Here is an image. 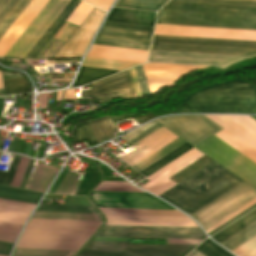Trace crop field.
<instances>
[{
    "label": "crop field",
    "mask_w": 256,
    "mask_h": 256,
    "mask_svg": "<svg viewBox=\"0 0 256 256\" xmlns=\"http://www.w3.org/2000/svg\"><path fill=\"white\" fill-rule=\"evenodd\" d=\"M28 213L16 212L0 209V220L24 224L28 218Z\"/></svg>",
    "instance_id": "obj_46"
},
{
    "label": "crop field",
    "mask_w": 256,
    "mask_h": 256,
    "mask_svg": "<svg viewBox=\"0 0 256 256\" xmlns=\"http://www.w3.org/2000/svg\"><path fill=\"white\" fill-rule=\"evenodd\" d=\"M34 207H35L34 204L0 199V208L31 213Z\"/></svg>",
    "instance_id": "obj_47"
},
{
    "label": "crop field",
    "mask_w": 256,
    "mask_h": 256,
    "mask_svg": "<svg viewBox=\"0 0 256 256\" xmlns=\"http://www.w3.org/2000/svg\"><path fill=\"white\" fill-rule=\"evenodd\" d=\"M255 235H256V222L248 226L241 232L237 233L236 235H234L233 237H231L230 239H228L227 241L223 242L220 245H222L223 247L231 251Z\"/></svg>",
    "instance_id": "obj_36"
},
{
    "label": "crop field",
    "mask_w": 256,
    "mask_h": 256,
    "mask_svg": "<svg viewBox=\"0 0 256 256\" xmlns=\"http://www.w3.org/2000/svg\"><path fill=\"white\" fill-rule=\"evenodd\" d=\"M124 91H128V92L110 95V96L96 97V96L105 95L109 93L124 92ZM80 96L89 97L90 99H97L99 103L117 99V98L129 99V98L137 97L131 77H130L129 70L122 72L120 74L102 79L100 81L94 82L93 89L86 92H82Z\"/></svg>",
    "instance_id": "obj_16"
},
{
    "label": "crop field",
    "mask_w": 256,
    "mask_h": 256,
    "mask_svg": "<svg viewBox=\"0 0 256 256\" xmlns=\"http://www.w3.org/2000/svg\"><path fill=\"white\" fill-rule=\"evenodd\" d=\"M97 206L175 210L150 195L91 193ZM103 214L185 216L178 211L98 207Z\"/></svg>",
    "instance_id": "obj_6"
},
{
    "label": "crop field",
    "mask_w": 256,
    "mask_h": 256,
    "mask_svg": "<svg viewBox=\"0 0 256 256\" xmlns=\"http://www.w3.org/2000/svg\"><path fill=\"white\" fill-rule=\"evenodd\" d=\"M184 143H186V142H184L178 138L175 141H173L172 143H170L167 146H165L164 148H162L161 150H159L158 152L154 153L153 155H151L150 157L145 159L144 161L140 162L133 168L140 172L143 169L150 166L151 164H153L154 162H156L159 159H161L162 157H164L165 155H167L168 153L172 152L179 146L183 145Z\"/></svg>",
    "instance_id": "obj_33"
},
{
    "label": "crop field",
    "mask_w": 256,
    "mask_h": 256,
    "mask_svg": "<svg viewBox=\"0 0 256 256\" xmlns=\"http://www.w3.org/2000/svg\"><path fill=\"white\" fill-rule=\"evenodd\" d=\"M5 95L27 92L28 85L25 77L3 81Z\"/></svg>",
    "instance_id": "obj_40"
},
{
    "label": "crop field",
    "mask_w": 256,
    "mask_h": 256,
    "mask_svg": "<svg viewBox=\"0 0 256 256\" xmlns=\"http://www.w3.org/2000/svg\"><path fill=\"white\" fill-rule=\"evenodd\" d=\"M0 88H3L1 73H0Z\"/></svg>",
    "instance_id": "obj_62"
},
{
    "label": "crop field",
    "mask_w": 256,
    "mask_h": 256,
    "mask_svg": "<svg viewBox=\"0 0 256 256\" xmlns=\"http://www.w3.org/2000/svg\"><path fill=\"white\" fill-rule=\"evenodd\" d=\"M113 73H117V71L81 67L72 87L82 86Z\"/></svg>",
    "instance_id": "obj_31"
},
{
    "label": "crop field",
    "mask_w": 256,
    "mask_h": 256,
    "mask_svg": "<svg viewBox=\"0 0 256 256\" xmlns=\"http://www.w3.org/2000/svg\"><path fill=\"white\" fill-rule=\"evenodd\" d=\"M22 156L15 155L8 172L0 171V185L9 186Z\"/></svg>",
    "instance_id": "obj_49"
},
{
    "label": "crop field",
    "mask_w": 256,
    "mask_h": 256,
    "mask_svg": "<svg viewBox=\"0 0 256 256\" xmlns=\"http://www.w3.org/2000/svg\"><path fill=\"white\" fill-rule=\"evenodd\" d=\"M148 52L92 45L87 56L144 63Z\"/></svg>",
    "instance_id": "obj_23"
},
{
    "label": "crop field",
    "mask_w": 256,
    "mask_h": 256,
    "mask_svg": "<svg viewBox=\"0 0 256 256\" xmlns=\"http://www.w3.org/2000/svg\"><path fill=\"white\" fill-rule=\"evenodd\" d=\"M32 218L102 221L99 215L35 212Z\"/></svg>",
    "instance_id": "obj_35"
},
{
    "label": "crop field",
    "mask_w": 256,
    "mask_h": 256,
    "mask_svg": "<svg viewBox=\"0 0 256 256\" xmlns=\"http://www.w3.org/2000/svg\"><path fill=\"white\" fill-rule=\"evenodd\" d=\"M41 196V193L29 192L0 186V198L37 204Z\"/></svg>",
    "instance_id": "obj_29"
},
{
    "label": "crop field",
    "mask_w": 256,
    "mask_h": 256,
    "mask_svg": "<svg viewBox=\"0 0 256 256\" xmlns=\"http://www.w3.org/2000/svg\"><path fill=\"white\" fill-rule=\"evenodd\" d=\"M190 148H192V146H190L189 144L186 143L140 173H142L145 176H148L151 173H153L154 171H156L159 168H161L162 166H164L165 164H167L168 162L172 161L173 159H175L176 157L181 155L182 153L189 150Z\"/></svg>",
    "instance_id": "obj_38"
},
{
    "label": "crop field",
    "mask_w": 256,
    "mask_h": 256,
    "mask_svg": "<svg viewBox=\"0 0 256 256\" xmlns=\"http://www.w3.org/2000/svg\"><path fill=\"white\" fill-rule=\"evenodd\" d=\"M154 123H156V122H155V121H152V122H150V123L144 125L143 127H141V128H139V129H137V130H135V131H132V132L128 133L127 135H125V136H123V137H121V138H123L124 140L127 141V140H129L130 138H132V137H134L135 135H137L138 133H140L141 131H143V130H145L146 128H148L149 126L153 125Z\"/></svg>",
    "instance_id": "obj_56"
},
{
    "label": "crop field",
    "mask_w": 256,
    "mask_h": 256,
    "mask_svg": "<svg viewBox=\"0 0 256 256\" xmlns=\"http://www.w3.org/2000/svg\"><path fill=\"white\" fill-rule=\"evenodd\" d=\"M252 118H254L256 120V116H251Z\"/></svg>",
    "instance_id": "obj_65"
},
{
    "label": "crop field",
    "mask_w": 256,
    "mask_h": 256,
    "mask_svg": "<svg viewBox=\"0 0 256 256\" xmlns=\"http://www.w3.org/2000/svg\"><path fill=\"white\" fill-rule=\"evenodd\" d=\"M168 0H118L114 7L158 11Z\"/></svg>",
    "instance_id": "obj_30"
},
{
    "label": "crop field",
    "mask_w": 256,
    "mask_h": 256,
    "mask_svg": "<svg viewBox=\"0 0 256 256\" xmlns=\"http://www.w3.org/2000/svg\"><path fill=\"white\" fill-rule=\"evenodd\" d=\"M196 148L256 188V165L233 150L234 148L214 136Z\"/></svg>",
    "instance_id": "obj_11"
},
{
    "label": "crop field",
    "mask_w": 256,
    "mask_h": 256,
    "mask_svg": "<svg viewBox=\"0 0 256 256\" xmlns=\"http://www.w3.org/2000/svg\"><path fill=\"white\" fill-rule=\"evenodd\" d=\"M255 221L256 209L251 211L244 217L240 218L230 226L226 227L219 233L215 234L214 236H212L211 239L215 240L220 244Z\"/></svg>",
    "instance_id": "obj_27"
},
{
    "label": "crop field",
    "mask_w": 256,
    "mask_h": 256,
    "mask_svg": "<svg viewBox=\"0 0 256 256\" xmlns=\"http://www.w3.org/2000/svg\"><path fill=\"white\" fill-rule=\"evenodd\" d=\"M232 148H234L236 151L256 163V152L237 140L235 137L227 133L226 131H221L218 134L214 135Z\"/></svg>",
    "instance_id": "obj_32"
},
{
    "label": "crop field",
    "mask_w": 256,
    "mask_h": 256,
    "mask_svg": "<svg viewBox=\"0 0 256 256\" xmlns=\"http://www.w3.org/2000/svg\"><path fill=\"white\" fill-rule=\"evenodd\" d=\"M14 244L0 242V255L8 256Z\"/></svg>",
    "instance_id": "obj_57"
},
{
    "label": "crop field",
    "mask_w": 256,
    "mask_h": 256,
    "mask_svg": "<svg viewBox=\"0 0 256 256\" xmlns=\"http://www.w3.org/2000/svg\"><path fill=\"white\" fill-rule=\"evenodd\" d=\"M202 156L204 155L196 149L190 150L189 152L185 153L178 159L165 166L164 168L160 169L153 175L146 178L150 182L140 188L154 195H160L161 193L176 185L174 182L168 179L169 177L176 174L197 159L201 158Z\"/></svg>",
    "instance_id": "obj_18"
},
{
    "label": "crop field",
    "mask_w": 256,
    "mask_h": 256,
    "mask_svg": "<svg viewBox=\"0 0 256 256\" xmlns=\"http://www.w3.org/2000/svg\"><path fill=\"white\" fill-rule=\"evenodd\" d=\"M244 1H256V0H244Z\"/></svg>",
    "instance_id": "obj_64"
},
{
    "label": "crop field",
    "mask_w": 256,
    "mask_h": 256,
    "mask_svg": "<svg viewBox=\"0 0 256 256\" xmlns=\"http://www.w3.org/2000/svg\"><path fill=\"white\" fill-rule=\"evenodd\" d=\"M76 252L15 249L13 256H74Z\"/></svg>",
    "instance_id": "obj_42"
},
{
    "label": "crop field",
    "mask_w": 256,
    "mask_h": 256,
    "mask_svg": "<svg viewBox=\"0 0 256 256\" xmlns=\"http://www.w3.org/2000/svg\"><path fill=\"white\" fill-rule=\"evenodd\" d=\"M33 161H34V160H31V159L29 160V163H28V165H27L25 174H24V176H23L22 182H21L20 187H19V188H21V189L24 188V185H25V183H26V180H27L28 174H29V172H30L31 166H32V164H33Z\"/></svg>",
    "instance_id": "obj_59"
},
{
    "label": "crop field",
    "mask_w": 256,
    "mask_h": 256,
    "mask_svg": "<svg viewBox=\"0 0 256 256\" xmlns=\"http://www.w3.org/2000/svg\"><path fill=\"white\" fill-rule=\"evenodd\" d=\"M256 151V121L249 116L204 115Z\"/></svg>",
    "instance_id": "obj_20"
},
{
    "label": "crop field",
    "mask_w": 256,
    "mask_h": 256,
    "mask_svg": "<svg viewBox=\"0 0 256 256\" xmlns=\"http://www.w3.org/2000/svg\"><path fill=\"white\" fill-rule=\"evenodd\" d=\"M105 11H108L114 0H85Z\"/></svg>",
    "instance_id": "obj_55"
},
{
    "label": "crop field",
    "mask_w": 256,
    "mask_h": 256,
    "mask_svg": "<svg viewBox=\"0 0 256 256\" xmlns=\"http://www.w3.org/2000/svg\"><path fill=\"white\" fill-rule=\"evenodd\" d=\"M48 0H32L15 23L10 27L0 40V57L2 58L12 44L17 40L37 13L42 9Z\"/></svg>",
    "instance_id": "obj_22"
},
{
    "label": "crop field",
    "mask_w": 256,
    "mask_h": 256,
    "mask_svg": "<svg viewBox=\"0 0 256 256\" xmlns=\"http://www.w3.org/2000/svg\"><path fill=\"white\" fill-rule=\"evenodd\" d=\"M28 160H29L28 158H26L24 156L22 157L20 164L18 166V169L15 173V176H14L13 181L10 186L16 187V188L19 187V184L21 182V179H22L23 173L25 171L26 165L28 163Z\"/></svg>",
    "instance_id": "obj_51"
},
{
    "label": "crop field",
    "mask_w": 256,
    "mask_h": 256,
    "mask_svg": "<svg viewBox=\"0 0 256 256\" xmlns=\"http://www.w3.org/2000/svg\"><path fill=\"white\" fill-rule=\"evenodd\" d=\"M151 50L256 56V42L154 35Z\"/></svg>",
    "instance_id": "obj_5"
},
{
    "label": "crop field",
    "mask_w": 256,
    "mask_h": 256,
    "mask_svg": "<svg viewBox=\"0 0 256 256\" xmlns=\"http://www.w3.org/2000/svg\"><path fill=\"white\" fill-rule=\"evenodd\" d=\"M142 67L152 95L163 88L174 87L182 77L193 71L208 68L204 66L157 63H148Z\"/></svg>",
    "instance_id": "obj_14"
},
{
    "label": "crop field",
    "mask_w": 256,
    "mask_h": 256,
    "mask_svg": "<svg viewBox=\"0 0 256 256\" xmlns=\"http://www.w3.org/2000/svg\"><path fill=\"white\" fill-rule=\"evenodd\" d=\"M200 240H167L166 244H197ZM203 240H201L198 244H200ZM197 244V245H198Z\"/></svg>",
    "instance_id": "obj_58"
},
{
    "label": "crop field",
    "mask_w": 256,
    "mask_h": 256,
    "mask_svg": "<svg viewBox=\"0 0 256 256\" xmlns=\"http://www.w3.org/2000/svg\"><path fill=\"white\" fill-rule=\"evenodd\" d=\"M16 2L17 0H0V21Z\"/></svg>",
    "instance_id": "obj_53"
},
{
    "label": "crop field",
    "mask_w": 256,
    "mask_h": 256,
    "mask_svg": "<svg viewBox=\"0 0 256 256\" xmlns=\"http://www.w3.org/2000/svg\"><path fill=\"white\" fill-rule=\"evenodd\" d=\"M30 2L31 0H18L9 13L4 17L0 22V39Z\"/></svg>",
    "instance_id": "obj_34"
},
{
    "label": "crop field",
    "mask_w": 256,
    "mask_h": 256,
    "mask_svg": "<svg viewBox=\"0 0 256 256\" xmlns=\"http://www.w3.org/2000/svg\"><path fill=\"white\" fill-rule=\"evenodd\" d=\"M94 191L143 192L128 182H102Z\"/></svg>",
    "instance_id": "obj_41"
},
{
    "label": "crop field",
    "mask_w": 256,
    "mask_h": 256,
    "mask_svg": "<svg viewBox=\"0 0 256 256\" xmlns=\"http://www.w3.org/2000/svg\"><path fill=\"white\" fill-rule=\"evenodd\" d=\"M153 27L104 22L94 44L148 51Z\"/></svg>",
    "instance_id": "obj_9"
},
{
    "label": "crop field",
    "mask_w": 256,
    "mask_h": 256,
    "mask_svg": "<svg viewBox=\"0 0 256 256\" xmlns=\"http://www.w3.org/2000/svg\"><path fill=\"white\" fill-rule=\"evenodd\" d=\"M59 168L38 163L28 189L45 192Z\"/></svg>",
    "instance_id": "obj_26"
},
{
    "label": "crop field",
    "mask_w": 256,
    "mask_h": 256,
    "mask_svg": "<svg viewBox=\"0 0 256 256\" xmlns=\"http://www.w3.org/2000/svg\"><path fill=\"white\" fill-rule=\"evenodd\" d=\"M154 34L256 41V31L156 25Z\"/></svg>",
    "instance_id": "obj_17"
},
{
    "label": "crop field",
    "mask_w": 256,
    "mask_h": 256,
    "mask_svg": "<svg viewBox=\"0 0 256 256\" xmlns=\"http://www.w3.org/2000/svg\"><path fill=\"white\" fill-rule=\"evenodd\" d=\"M80 0H71L67 7L62 11L46 33L41 37L37 44L32 48V50L26 55L24 59H34L35 56L40 52L48 40L53 36L61 24L66 20L74 8L79 4Z\"/></svg>",
    "instance_id": "obj_25"
},
{
    "label": "crop field",
    "mask_w": 256,
    "mask_h": 256,
    "mask_svg": "<svg viewBox=\"0 0 256 256\" xmlns=\"http://www.w3.org/2000/svg\"><path fill=\"white\" fill-rule=\"evenodd\" d=\"M196 249L201 251L206 256H232L227 251L222 249L217 244L213 243L210 240L204 241L200 246H198Z\"/></svg>",
    "instance_id": "obj_45"
},
{
    "label": "crop field",
    "mask_w": 256,
    "mask_h": 256,
    "mask_svg": "<svg viewBox=\"0 0 256 256\" xmlns=\"http://www.w3.org/2000/svg\"><path fill=\"white\" fill-rule=\"evenodd\" d=\"M37 211L97 214L93 207L40 204Z\"/></svg>",
    "instance_id": "obj_37"
},
{
    "label": "crop field",
    "mask_w": 256,
    "mask_h": 256,
    "mask_svg": "<svg viewBox=\"0 0 256 256\" xmlns=\"http://www.w3.org/2000/svg\"><path fill=\"white\" fill-rule=\"evenodd\" d=\"M73 136L75 143L86 140L90 144L97 143L96 138L94 137L93 133L91 132L90 128L88 127L87 123H82L75 126L73 131Z\"/></svg>",
    "instance_id": "obj_44"
},
{
    "label": "crop field",
    "mask_w": 256,
    "mask_h": 256,
    "mask_svg": "<svg viewBox=\"0 0 256 256\" xmlns=\"http://www.w3.org/2000/svg\"><path fill=\"white\" fill-rule=\"evenodd\" d=\"M170 2L193 3V4H209V5H225V6H241V7H256V2L228 1V0H171Z\"/></svg>",
    "instance_id": "obj_39"
},
{
    "label": "crop field",
    "mask_w": 256,
    "mask_h": 256,
    "mask_svg": "<svg viewBox=\"0 0 256 256\" xmlns=\"http://www.w3.org/2000/svg\"><path fill=\"white\" fill-rule=\"evenodd\" d=\"M105 14L94 8L54 58L82 57Z\"/></svg>",
    "instance_id": "obj_15"
},
{
    "label": "crop field",
    "mask_w": 256,
    "mask_h": 256,
    "mask_svg": "<svg viewBox=\"0 0 256 256\" xmlns=\"http://www.w3.org/2000/svg\"><path fill=\"white\" fill-rule=\"evenodd\" d=\"M93 8L94 7L81 1L76 9L67 18L66 22L79 26Z\"/></svg>",
    "instance_id": "obj_43"
},
{
    "label": "crop field",
    "mask_w": 256,
    "mask_h": 256,
    "mask_svg": "<svg viewBox=\"0 0 256 256\" xmlns=\"http://www.w3.org/2000/svg\"><path fill=\"white\" fill-rule=\"evenodd\" d=\"M256 203V199L254 201H252L251 203H249L248 205L244 206L243 208H241L240 210H238L237 212H235L234 214L230 215L229 217H227L226 219H224L223 221L219 222L218 224H216L215 226H213L212 228L208 229L207 231H205L207 234L210 233L211 231H213L214 229L218 228L219 226H221L222 224H224L225 222H227L228 220L232 219L233 217H235L236 215H238L239 213H241L242 211L246 210L247 208H249L250 206H252L253 204Z\"/></svg>",
    "instance_id": "obj_54"
},
{
    "label": "crop field",
    "mask_w": 256,
    "mask_h": 256,
    "mask_svg": "<svg viewBox=\"0 0 256 256\" xmlns=\"http://www.w3.org/2000/svg\"><path fill=\"white\" fill-rule=\"evenodd\" d=\"M96 237L205 239L199 228L104 226Z\"/></svg>",
    "instance_id": "obj_12"
},
{
    "label": "crop field",
    "mask_w": 256,
    "mask_h": 256,
    "mask_svg": "<svg viewBox=\"0 0 256 256\" xmlns=\"http://www.w3.org/2000/svg\"><path fill=\"white\" fill-rule=\"evenodd\" d=\"M1 154V153H0Z\"/></svg>",
    "instance_id": "obj_67"
},
{
    "label": "crop field",
    "mask_w": 256,
    "mask_h": 256,
    "mask_svg": "<svg viewBox=\"0 0 256 256\" xmlns=\"http://www.w3.org/2000/svg\"><path fill=\"white\" fill-rule=\"evenodd\" d=\"M156 24L256 30V8L168 3Z\"/></svg>",
    "instance_id": "obj_2"
},
{
    "label": "crop field",
    "mask_w": 256,
    "mask_h": 256,
    "mask_svg": "<svg viewBox=\"0 0 256 256\" xmlns=\"http://www.w3.org/2000/svg\"><path fill=\"white\" fill-rule=\"evenodd\" d=\"M79 175L68 172L62 183L59 185L55 193L70 194L76 185ZM79 180V179H78Z\"/></svg>",
    "instance_id": "obj_48"
},
{
    "label": "crop field",
    "mask_w": 256,
    "mask_h": 256,
    "mask_svg": "<svg viewBox=\"0 0 256 256\" xmlns=\"http://www.w3.org/2000/svg\"><path fill=\"white\" fill-rule=\"evenodd\" d=\"M155 13L113 8L106 21L153 26Z\"/></svg>",
    "instance_id": "obj_24"
},
{
    "label": "crop field",
    "mask_w": 256,
    "mask_h": 256,
    "mask_svg": "<svg viewBox=\"0 0 256 256\" xmlns=\"http://www.w3.org/2000/svg\"><path fill=\"white\" fill-rule=\"evenodd\" d=\"M183 104L191 113L256 114V85L224 82L197 91Z\"/></svg>",
    "instance_id": "obj_4"
},
{
    "label": "crop field",
    "mask_w": 256,
    "mask_h": 256,
    "mask_svg": "<svg viewBox=\"0 0 256 256\" xmlns=\"http://www.w3.org/2000/svg\"><path fill=\"white\" fill-rule=\"evenodd\" d=\"M242 182L213 162L159 197L191 216Z\"/></svg>",
    "instance_id": "obj_1"
},
{
    "label": "crop field",
    "mask_w": 256,
    "mask_h": 256,
    "mask_svg": "<svg viewBox=\"0 0 256 256\" xmlns=\"http://www.w3.org/2000/svg\"><path fill=\"white\" fill-rule=\"evenodd\" d=\"M160 126L159 124H154L153 126L149 127L148 129H146L145 131H143L142 133L138 134L137 136H135L134 138L130 139L129 141H127L128 143H130L131 145L135 144L136 142L140 141L141 139H143L144 137L148 136L149 134H151L152 132H154L155 130L159 129Z\"/></svg>",
    "instance_id": "obj_52"
},
{
    "label": "crop field",
    "mask_w": 256,
    "mask_h": 256,
    "mask_svg": "<svg viewBox=\"0 0 256 256\" xmlns=\"http://www.w3.org/2000/svg\"><path fill=\"white\" fill-rule=\"evenodd\" d=\"M245 58L249 57L151 51L149 61L204 64L226 67Z\"/></svg>",
    "instance_id": "obj_19"
},
{
    "label": "crop field",
    "mask_w": 256,
    "mask_h": 256,
    "mask_svg": "<svg viewBox=\"0 0 256 256\" xmlns=\"http://www.w3.org/2000/svg\"><path fill=\"white\" fill-rule=\"evenodd\" d=\"M156 121L194 146L220 129L203 116L167 117Z\"/></svg>",
    "instance_id": "obj_13"
},
{
    "label": "crop field",
    "mask_w": 256,
    "mask_h": 256,
    "mask_svg": "<svg viewBox=\"0 0 256 256\" xmlns=\"http://www.w3.org/2000/svg\"><path fill=\"white\" fill-rule=\"evenodd\" d=\"M101 222L30 219L16 248L78 251Z\"/></svg>",
    "instance_id": "obj_3"
},
{
    "label": "crop field",
    "mask_w": 256,
    "mask_h": 256,
    "mask_svg": "<svg viewBox=\"0 0 256 256\" xmlns=\"http://www.w3.org/2000/svg\"><path fill=\"white\" fill-rule=\"evenodd\" d=\"M176 138L178 137L162 127L140 142L133 145L137 149L131 151V155L128 156L126 154L120 159L132 167Z\"/></svg>",
    "instance_id": "obj_21"
},
{
    "label": "crop field",
    "mask_w": 256,
    "mask_h": 256,
    "mask_svg": "<svg viewBox=\"0 0 256 256\" xmlns=\"http://www.w3.org/2000/svg\"><path fill=\"white\" fill-rule=\"evenodd\" d=\"M4 95L3 89H0V96Z\"/></svg>",
    "instance_id": "obj_63"
},
{
    "label": "crop field",
    "mask_w": 256,
    "mask_h": 256,
    "mask_svg": "<svg viewBox=\"0 0 256 256\" xmlns=\"http://www.w3.org/2000/svg\"><path fill=\"white\" fill-rule=\"evenodd\" d=\"M70 0H49L4 57L23 59Z\"/></svg>",
    "instance_id": "obj_10"
},
{
    "label": "crop field",
    "mask_w": 256,
    "mask_h": 256,
    "mask_svg": "<svg viewBox=\"0 0 256 256\" xmlns=\"http://www.w3.org/2000/svg\"><path fill=\"white\" fill-rule=\"evenodd\" d=\"M255 198L256 190L244 182L191 217L205 231Z\"/></svg>",
    "instance_id": "obj_8"
},
{
    "label": "crop field",
    "mask_w": 256,
    "mask_h": 256,
    "mask_svg": "<svg viewBox=\"0 0 256 256\" xmlns=\"http://www.w3.org/2000/svg\"><path fill=\"white\" fill-rule=\"evenodd\" d=\"M88 125L98 142L114 136L117 132L110 117L90 121Z\"/></svg>",
    "instance_id": "obj_28"
},
{
    "label": "crop field",
    "mask_w": 256,
    "mask_h": 256,
    "mask_svg": "<svg viewBox=\"0 0 256 256\" xmlns=\"http://www.w3.org/2000/svg\"><path fill=\"white\" fill-rule=\"evenodd\" d=\"M16 237L15 236H9V235H4L0 234V241H6V242H15Z\"/></svg>",
    "instance_id": "obj_60"
},
{
    "label": "crop field",
    "mask_w": 256,
    "mask_h": 256,
    "mask_svg": "<svg viewBox=\"0 0 256 256\" xmlns=\"http://www.w3.org/2000/svg\"><path fill=\"white\" fill-rule=\"evenodd\" d=\"M189 256H204V255H202L201 253H199L198 251L195 250Z\"/></svg>",
    "instance_id": "obj_61"
},
{
    "label": "crop field",
    "mask_w": 256,
    "mask_h": 256,
    "mask_svg": "<svg viewBox=\"0 0 256 256\" xmlns=\"http://www.w3.org/2000/svg\"><path fill=\"white\" fill-rule=\"evenodd\" d=\"M22 225L0 221V233L17 236Z\"/></svg>",
    "instance_id": "obj_50"
},
{
    "label": "crop field",
    "mask_w": 256,
    "mask_h": 256,
    "mask_svg": "<svg viewBox=\"0 0 256 256\" xmlns=\"http://www.w3.org/2000/svg\"><path fill=\"white\" fill-rule=\"evenodd\" d=\"M80 100H89V99H81V98H80Z\"/></svg>",
    "instance_id": "obj_66"
},
{
    "label": "crop field",
    "mask_w": 256,
    "mask_h": 256,
    "mask_svg": "<svg viewBox=\"0 0 256 256\" xmlns=\"http://www.w3.org/2000/svg\"><path fill=\"white\" fill-rule=\"evenodd\" d=\"M195 247L90 242L79 256H186Z\"/></svg>",
    "instance_id": "obj_7"
}]
</instances>
